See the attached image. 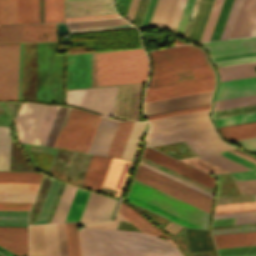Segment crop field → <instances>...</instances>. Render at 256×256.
<instances>
[{"mask_svg": "<svg viewBox=\"0 0 256 256\" xmlns=\"http://www.w3.org/2000/svg\"><path fill=\"white\" fill-rule=\"evenodd\" d=\"M256 94V77L220 82L215 100Z\"/></svg>", "mask_w": 256, "mask_h": 256, "instance_id": "18", "label": "crop field"}, {"mask_svg": "<svg viewBox=\"0 0 256 256\" xmlns=\"http://www.w3.org/2000/svg\"><path fill=\"white\" fill-rule=\"evenodd\" d=\"M212 3L213 0H201L188 39L194 42H198L200 40Z\"/></svg>", "mask_w": 256, "mask_h": 256, "instance_id": "27", "label": "crop field"}, {"mask_svg": "<svg viewBox=\"0 0 256 256\" xmlns=\"http://www.w3.org/2000/svg\"><path fill=\"white\" fill-rule=\"evenodd\" d=\"M213 91L145 103L146 116L210 104Z\"/></svg>", "mask_w": 256, "mask_h": 256, "instance_id": "10", "label": "crop field"}, {"mask_svg": "<svg viewBox=\"0 0 256 256\" xmlns=\"http://www.w3.org/2000/svg\"><path fill=\"white\" fill-rule=\"evenodd\" d=\"M119 122L102 116L88 152L106 155Z\"/></svg>", "mask_w": 256, "mask_h": 256, "instance_id": "17", "label": "crop field"}, {"mask_svg": "<svg viewBox=\"0 0 256 256\" xmlns=\"http://www.w3.org/2000/svg\"><path fill=\"white\" fill-rule=\"evenodd\" d=\"M127 200L181 226L207 229L209 214L137 180H133Z\"/></svg>", "mask_w": 256, "mask_h": 256, "instance_id": "2", "label": "crop field"}, {"mask_svg": "<svg viewBox=\"0 0 256 256\" xmlns=\"http://www.w3.org/2000/svg\"><path fill=\"white\" fill-rule=\"evenodd\" d=\"M134 178L209 213L210 198L160 174L139 166Z\"/></svg>", "mask_w": 256, "mask_h": 256, "instance_id": "5", "label": "crop field"}, {"mask_svg": "<svg viewBox=\"0 0 256 256\" xmlns=\"http://www.w3.org/2000/svg\"><path fill=\"white\" fill-rule=\"evenodd\" d=\"M138 0H131L128 12L126 17L132 20L133 14L135 12L136 6H137Z\"/></svg>", "mask_w": 256, "mask_h": 256, "instance_id": "77", "label": "crop field"}, {"mask_svg": "<svg viewBox=\"0 0 256 256\" xmlns=\"http://www.w3.org/2000/svg\"><path fill=\"white\" fill-rule=\"evenodd\" d=\"M35 194L0 193V202L31 203Z\"/></svg>", "mask_w": 256, "mask_h": 256, "instance_id": "54", "label": "crop field"}, {"mask_svg": "<svg viewBox=\"0 0 256 256\" xmlns=\"http://www.w3.org/2000/svg\"><path fill=\"white\" fill-rule=\"evenodd\" d=\"M4 126H0V170L9 171L10 146L9 153H6V145H3ZM11 138V133H10Z\"/></svg>", "mask_w": 256, "mask_h": 256, "instance_id": "55", "label": "crop field"}, {"mask_svg": "<svg viewBox=\"0 0 256 256\" xmlns=\"http://www.w3.org/2000/svg\"><path fill=\"white\" fill-rule=\"evenodd\" d=\"M211 61L215 67L243 63V62L256 61V51L249 52V53H243V54H237V55H231V56H225V57H219V58H213V59H211Z\"/></svg>", "mask_w": 256, "mask_h": 256, "instance_id": "44", "label": "crop field"}, {"mask_svg": "<svg viewBox=\"0 0 256 256\" xmlns=\"http://www.w3.org/2000/svg\"><path fill=\"white\" fill-rule=\"evenodd\" d=\"M219 154L224 156V157H227V158H229L231 160H234V161H236V162H238L240 164H243V165H245V166H247L249 168H252V167L256 166L255 164H253V163H251V162H249V161H247L245 159H242V158H240V157H238V156H236V155H234V154H232L230 152L219 153Z\"/></svg>", "mask_w": 256, "mask_h": 256, "instance_id": "71", "label": "crop field"}, {"mask_svg": "<svg viewBox=\"0 0 256 256\" xmlns=\"http://www.w3.org/2000/svg\"><path fill=\"white\" fill-rule=\"evenodd\" d=\"M216 248L255 245L256 232L213 236Z\"/></svg>", "mask_w": 256, "mask_h": 256, "instance_id": "25", "label": "crop field"}, {"mask_svg": "<svg viewBox=\"0 0 256 256\" xmlns=\"http://www.w3.org/2000/svg\"><path fill=\"white\" fill-rule=\"evenodd\" d=\"M44 40H56L55 24L0 26V43Z\"/></svg>", "mask_w": 256, "mask_h": 256, "instance_id": "9", "label": "crop field"}, {"mask_svg": "<svg viewBox=\"0 0 256 256\" xmlns=\"http://www.w3.org/2000/svg\"><path fill=\"white\" fill-rule=\"evenodd\" d=\"M209 52L210 58L254 51L256 50V36L239 39L199 43Z\"/></svg>", "mask_w": 256, "mask_h": 256, "instance_id": "14", "label": "crop field"}, {"mask_svg": "<svg viewBox=\"0 0 256 256\" xmlns=\"http://www.w3.org/2000/svg\"><path fill=\"white\" fill-rule=\"evenodd\" d=\"M31 204L0 203V210H28Z\"/></svg>", "mask_w": 256, "mask_h": 256, "instance_id": "70", "label": "crop field"}, {"mask_svg": "<svg viewBox=\"0 0 256 256\" xmlns=\"http://www.w3.org/2000/svg\"><path fill=\"white\" fill-rule=\"evenodd\" d=\"M255 103H256V95L218 100V101H215L214 110L235 107V106L255 104Z\"/></svg>", "mask_w": 256, "mask_h": 256, "instance_id": "47", "label": "crop field"}, {"mask_svg": "<svg viewBox=\"0 0 256 256\" xmlns=\"http://www.w3.org/2000/svg\"><path fill=\"white\" fill-rule=\"evenodd\" d=\"M185 2H186V0H179L176 11H175V14H174V17L172 19V22H171V25H170L169 29L174 30V31L176 30V27H177V24L179 22V19H180V16H181V13H182Z\"/></svg>", "mask_w": 256, "mask_h": 256, "instance_id": "67", "label": "crop field"}, {"mask_svg": "<svg viewBox=\"0 0 256 256\" xmlns=\"http://www.w3.org/2000/svg\"><path fill=\"white\" fill-rule=\"evenodd\" d=\"M253 66H256V62L237 64L225 67L217 68L220 81L242 78L256 75V71Z\"/></svg>", "mask_w": 256, "mask_h": 256, "instance_id": "26", "label": "crop field"}, {"mask_svg": "<svg viewBox=\"0 0 256 256\" xmlns=\"http://www.w3.org/2000/svg\"><path fill=\"white\" fill-rule=\"evenodd\" d=\"M60 183L61 182H59V181L53 180L52 185L49 189V192L47 194V197L45 199V202L42 206V209L40 211V214H39L35 224H42V223L45 222L46 217L48 215V212L50 210V207L52 205V202H53V200L55 198V195L57 193V190L59 188Z\"/></svg>", "mask_w": 256, "mask_h": 256, "instance_id": "46", "label": "crop field"}, {"mask_svg": "<svg viewBox=\"0 0 256 256\" xmlns=\"http://www.w3.org/2000/svg\"><path fill=\"white\" fill-rule=\"evenodd\" d=\"M150 54L152 76L209 65L205 53L189 45L151 51Z\"/></svg>", "mask_w": 256, "mask_h": 256, "instance_id": "3", "label": "crop field"}, {"mask_svg": "<svg viewBox=\"0 0 256 256\" xmlns=\"http://www.w3.org/2000/svg\"><path fill=\"white\" fill-rule=\"evenodd\" d=\"M189 143L192 145V147L195 149L196 152L230 146V145L226 144L225 142L221 141L219 136L193 140V141H189ZM232 147L217 149V150H211V151H205V152H199L198 155L220 152V151H226V150H232V149L235 148V147L234 148H232Z\"/></svg>", "mask_w": 256, "mask_h": 256, "instance_id": "32", "label": "crop field"}, {"mask_svg": "<svg viewBox=\"0 0 256 256\" xmlns=\"http://www.w3.org/2000/svg\"><path fill=\"white\" fill-rule=\"evenodd\" d=\"M17 23V0H0V24Z\"/></svg>", "mask_w": 256, "mask_h": 256, "instance_id": "42", "label": "crop field"}, {"mask_svg": "<svg viewBox=\"0 0 256 256\" xmlns=\"http://www.w3.org/2000/svg\"><path fill=\"white\" fill-rule=\"evenodd\" d=\"M230 152H232V153H234V154H236V155H238L242 158H245V159H247V160L256 164V158H254V157H252V156H250V155H248V154H246V153H244L240 150H234V151H230Z\"/></svg>", "mask_w": 256, "mask_h": 256, "instance_id": "78", "label": "crop field"}, {"mask_svg": "<svg viewBox=\"0 0 256 256\" xmlns=\"http://www.w3.org/2000/svg\"><path fill=\"white\" fill-rule=\"evenodd\" d=\"M146 123L135 122L121 158L132 160Z\"/></svg>", "mask_w": 256, "mask_h": 256, "instance_id": "34", "label": "crop field"}, {"mask_svg": "<svg viewBox=\"0 0 256 256\" xmlns=\"http://www.w3.org/2000/svg\"><path fill=\"white\" fill-rule=\"evenodd\" d=\"M256 222V216L236 218L235 224Z\"/></svg>", "mask_w": 256, "mask_h": 256, "instance_id": "79", "label": "crop field"}, {"mask_svg": "<svg viewBox=\"0 0 256 256\" xmlns=\"http://www.w3.org/2000/svg\"><path fill=\"white\" fill-rule=\"evenodd\" d=\"M140 164L143 165V166H145V167H147V168H149V169H151V170H153V171H155V172H158V173H160V174H162V175H164V176H166V177H168V178H170V179H172V180H174V181H177V182H179V183H181V184H183V185H185V186H187V187H189V188H191V189H194V190H196V191H198V192H200V193H202V194H204V195H206V196H208V197H210V198H211V196H212L211 193H209V192H207V191H205V190H203V189H200V188H198V187H196V186H194V185H192V184H190V183H187V182H185V181H183V180H181V179H179V178H176V177H174V176H172V175H170V174H168V173H166V172H163V171H161V170H159V169H157V168H155V167H152V166H150V165H148V164H146V163H144V162H142V161H141ZM141 165H140V166H141ZM143 166H142V167H143Z\"/></svg>", "mask_w": 256, "mask_h": 256, "instance_id": "56", "label": "crop field"}, {"mask_svg": "<svg viewBox=\"0 0 256 256\" xmlns=\"http://www.w3.org/2000/svg\"><path fill=\"white\" fill-rule=\"evenodd\" d=\"M199 3H200V0H195V3H194V6L192 8V11H191V14H190L187 26H186L184 34H183V36H185L186 38L188 37V34H189L190 28L192 26V23H193V20H194L197 8L199 6Z\"/></svg>", "mask_w": 256, "mask_h": 256, "instance_id": "72", "label": "crop field"}, {"mask_svg": "<svg viewBox=\"0 0 256 256\" xmlns=\"http://www.w3.org/2000/svg\"><path fill=\"white\" fill-rule=\"evenodd\" d=\"M233 0H224L210 40L219 39Z\"/></svg>", "mask_w": 256, "mask_h": 256, "instance_id": "49", "label": "crop field"}, {"mask_svg": "<svg viewBox=\"0 0 256 256\" xmlns=\"http://www.w3.org/2000/svg\"><path fill=\"white\" fill-rule=\"evenodd\" d=\"M116 202L117 201L114 199H111L109 197L107 198L106 203L104 205V208L102 210V213H101L98 221L107 220L110 218Z\"/></svg>", "mask_w": 256, "mask_h": 256, "instance_id": "64", "label": "crop field"}, {"mask_svg": "<svg viewBox=\"0 0 256 256\" xmlns=\"http://www.w3.org/2000/svg\"><path fill=\"white\" fill-rule=\"evenodd\" d=\"M193 3L194 0H187L176 32L183 34Z\"/></svg>", "mask_w": 256, "mask_h": 256, "instance_id": "59", "label": "crop field"}, {"mask_svg": "<svg viewBox=\"0 0 256 256\" xmlns=\"http://www.w3.org/2000/svg\"><path fill=\"white\" fill-rule=\"evenodd\" d=\"M142 84H138L133 120H138Z\"/></svg>", "mask_w": 256, "mask_h": 256, "instance_id": "74", "label": "crop field"}, {"mask_svg": "<svg viewBox=\"0 0 256 256\" xmlns=\"http://www.w3.org/2000/svg\"><path fill=\"white\" fill-rule=\"evenodd\" d=\"M57 227H58L61 255L68 256L64 223L57 224Z\"/></svg>", "mask_w": 256, "mask_h": 256, "instance_id": "65", "label": "crop field"}, {"mask_svg": "<svg viewBox=\"0 0 256 256\" xmlns=\"http://www.w3.org/2000/svg\"><path fill=\"white\" fill-rule=\"evenodd\" d=\"M19 44L0 45V99H18Z\"/></svg>", "mask_w": 256, "mask_h": 256, "instance_id": "7", "label": "crop field"}, {"mask_svg": "<svg viewBox=\"0 0 256 256\" xmlns=\"http://www.w3.org/2000/svg\"><path fill=\"white\" fill-rule=\"evenodd\" d=\"M256 215V212L214 216V219Z\"/></svg>", "mask_w": 256, "mask_h": 256, "instance_id": "76", "label": "crop field"}, {"mask_svg": "<svg viewBox=\"0 0 256 256\" xmlns=\"http://www.w3.org/2000/svg\"><path fill=\"white\" fill-rule=\"evenodd\" d=\"M241 3H242V0L233 1L230 13L228 15V18L220 39L230 37Z\"/></svg>", "mask_w": 256, "mask_h": 256, "instance_id": "51", "label": "crop field"}, {"mask_svg": "<svg viewBox=\"0 0 256 256\" xmlns=\"http://www.w3.org/2000/svg\"><path fill=\"white\" fill-rule=\"evenodd\" d=\"M200 158H202L212 164H215L229 172L243 171V170L249 169L243 165L233 162V161H231L227 158H224L218 154L200 156Z\"/></svg>", "mask_w": 256, "mask_h": 256, "instance_id": "43", "label": "crop field"}, {"mask_svg": "<svg viewBox=\"0 0 256 256\" xmlns=\"http://www.w3.org/2000/svg\"><path fill=\"white\" fill-rule=\"evenodd\" d=\"M149 0H139L132 22L141 26Z\"/></svg>", "mask_w": 256, "mask_h": 256, "instance_id": "61", "label": "crop field"}, {"mask_svg": "<svg viewBox=\"0 0 256 256\" xmlns=\"http://www.w3.org/2000/svg\"><path fill=\"white\" fill-rule=\"evenodd\" d=\"M123 15H126L130 0H116Z\"/></svg>", "mask_w": 256, "mask_h": 256, "instance_id": "75", "label": "crop field"}, {"mask_svg": "<svg viewBox=\"0 0 256 256\" xmlns=\"http://www.w3.org/2000/svg\"><path fill=\"white\" fill-rule=\"evenodd\" d=\"M235 181L256 179V168L248 172L231 173ZM243 194L256 193V180L237 182Z\"/></svg>", "mask_w": 256, "mask_h": 256, "instance_id": "41", "label": "crop field"}, {"mask_svg": "<svg viewBox=\"0 0 256 256\" xmlns=\"http://www.w3.org/2000/svg\"><path fill=\"white\" fill-rule=\"evenodd\" d=\"M76 226V223H65L69 256H81Z\"/></svg>", "mask_w": 256, "mask_h": 256, "instance_id": "45", "label": "crop field"}, {"mask_svg": "<svg viewBox=\"0 0 256 256\" xmlns=\"http://www.w3.org/2000/svg\"><path fill=\"white\" fill-rule=\"evenodd\" d=\"M39 22V0H18V23Z\"/></svg>", "mask_w": 256, "mask_h": 256, "instance_id": "30", "label": "crop field"}, {"mask_svg": "<svg viewBox=\"0 0 256 256\" xmlns=\"http://www.w3.org/2000/svg\"><path fill=\"white\" fill-rule=\"evenodd\" d=\"M76 189H77L76 187H73L68 184L66 185L65 190L63 192V195L61 197V200L59 202V205L57 207V210L55 212V215H54L51 223H57V222L64 221Z\"/></svg>", "mask_w": 256, "mask_h": 256, "instance_id": "38", "label": "crop field"}, {"mask_svg": "<svg viewBox=\"0 0 256 256\" xmlns=\"http://www.w3.org/2000/svg\"><path fill=\"white\" fill-rule=\"evenodd\" d=\"M209 108H210V105L197 107V108H192V109L181 110V111H175V112H170V113H164V114H159V115H154V116H148L147 118L149 120H151V119H157V118L168 117V116H173V115H179V114H185V113L196 112V111H201V110H207Z\"/></svg>", "mask_w": 256, "mask_h": 256, "instance_id": "62", "label": "crop field"}, {"mask_svg": "<svg viewBox=\"0 0 256 256\" xmlns=\"http://www.w3.org/2000/svg\"><path fill=\"white\" fill-rule=\"evenodd\" d=\"M46 107V105L21 104L15 119L21 142H33Z\"/></svg>", "mask_w": 256, "mask_h": 256, "instance_id": "12", "label": "crop field"}, {"mask_svg": "<svg viewBox=\"0 0 256 256\" xmlns=\"http://www.w3.org/2000/svg\"><path fill=\"white\" fill-rule=\"evenodd\" d=\"M212 76H214V73L210 66L202 67L192 70L154 76L151 79L150 87L185 82L189 80L201 79Z\"/></svg>", "mask_w": 256, "mask_h": 256, "instance_id": "19", "label": "crop field"}, {"mask_svg": "<svg viewBox=\"0 0 256 256\" xmlns=\"http://www.w3.org/2000/svg\"><path fill=\"white\" fill-rule=\"evenodd\" d=\"M28 211H0V226H27Z\"/></svg>", "mask_w": 256, "mask_h": 256, "instance_id": "40", "label": "crop field"}, {"mask_svg": "<svg viewBox=\"0 0 256 256\" xmlns=\"http://www.w3.org/2000/svg\"><path fill=\"white\" fill-rule=\"evenodd\" d=\"M250 208H256V202L230 204V205H220V206H216L215 212L229 211V210H239V209H250Z\"/></svg>", "mask_w": 256, "mask_h": 256, "instance_id": "60", "label": "crop field"}, {"mask_svg": "<svg viewBox=\"0 0 256 256\" xmlns=\"http://www.w3.org/2000/svg\"><path fill=\"white\" fill-rule=\"evenodd\" d=\"M216 135L213 127L147 139L150 147Z\"/></svg>", "mask_w": 256, "mask_h": 256, "instance_id": "22", "label": "crop field"}, {"mask_svg": "<svg viewBox=\"0 0 256 256\" xmlns=\"http://www.w3.org/2000/svg\"><path fill=\"white\" fill-rule=\"evenodd\" d=\"M0 246L16 255H28V228L0 227Z\"/></svg>", "mask_w": 256, "mask_h": 256, "instance_id": "15", "label": "crop field"}, {"mask_svg": "<svg viewBox=\"0 0 256 256\" xmlns=\"http://www.w3.org/2000/svg\"><path fill=\"white\" fill-rule=\"evenodd\" d=\"M30 256H46L42 225L29 226Z\"/></svg>", "mask_w": 256, "mask_h": 256, "instance_id": "33", "label": "crop field"}, {"mask_svg": "<svg viewBox=\"0 0 256 256\" xmlns=\"http://www.w3.org/2000/svg\"><path fill=\"white\" fill-rule=\"evenodd\" d=\"M117 220H126V219H124L121 215L117 214L115 220H113V221H106V222L88 224V225H85V226L115 228Z\"/></svg>", "mask_w": 256, "mask_h": 256, "instance_id": "73", "label": "crop field"}, {"mask_svg": "<svg viewBox=\"0 0 256 256\" xmlns=\"http://www.w3.org/2000/svg\"><path fill=\"white\" fill-rule=\"evenodd\" d=\"M66 1H71V0H66Z\"/></svg>", "mask_w": 256, "mask_h": 256, "instance_id": "80", "label": "crop field"}, {"mask_svg": "<svg viewBox=\"0 0 256 256\" xmlns=\"http://www.w3.org/2000/svg\"><path fill=\"white\" fill-rule=\"evenodd\" d=\"M252 201L250 195L217 198L216 205Z\"/></svg>", "mask_w": 256, "mask_h": 256, "instance_id": "63", "label": "crop field"}, {"mask_svg": "<svg viewBox=\"0 0 256 256\" xmlns=\"http://www.w3.org/2000/svg\"><path fill=\"white\" fill-rule=\"evenodd\" d=\"M216 127L256 121V113L213 119ZM223 138L230 140L256 136V122L218 128ZM226 140V141H227Z\"/></svg>", "mask_w": 256, "mask_h": 256, "instance_id": "11", "label": "crop field"}, {"mask_svg": "<svg viewBox=\"0 0 256 256\" xmlns=\"http://www.w3.org/2000/svg\"><path fill=\"white\" fill-rule=\"evenodd\" d=\"M124 23H127V22L125 20H123L122 18H116V19L72 22V23H67V25H68L69 29H74V28H84V27L124 24Z\"/></svg>", "mask_w": 256, "mask_h": 256, "instance_id": "50", "label": "crop field"}, {"mask_svg": "<svg viewBox=\"0 0 256 256\" xmlns=\"http://www.w3.org/2000/svg\"><path fill=\"white\" fill-rule=\"evenodd\" d=\"M237 144L241 145L242 147L256 153V137L248 138V139H241L235 140Z\"/></svg>", "mask_w": 256, "mask_h": 256, "instance_id": "68", "label": "crop field"}, {"mask_svg": "<svg viewBox=\"0 0 256 256\" xmlns=\"http://www.w3.org/2000/svg\"><path fill=\"white\" fill-rule=\"evenodd\" d=\"M178 0H171L163 26L162 27H169L170 21L172 19L176 4H177ZM169 0H158L153 18L151 20L150 26H156V27H160L162 20L164 18L167 6H168Z\"/></svg>", "mask_w": 256, "mask_h": 256, "instance_id": "31", "label": "crop field"}, {"mask_svg": "<svg viewBox=\"0 0 256 256\" xmlns=\"http://www.w3.org/2000/svg\"><path fill=\"white\" fill-rule=\"evenodd\" d=\"M256 231V226L213 230L212 235Z\"/></svg>", "mask_w": 256, "mask_h": 256, "instance_id": "66", "label": "crop field"}, {"mask_svg": "<svg viewBox=\"0 0 256 256\" xmlns=\"http://www.w3.org/2000/svg\"><path fill=\"white\" fill-rule=\"evenodd\" d=\"M111 159L93 155L82 185L99 191Z\"/></svg>", "mask_w": 256, "mask_h": 256, "instance_id": "21", "label": "crop field"}, {"mask_svg": "<svg viewBox=\"0 0 256 256\" xmlns=\"http://www.w3.org/2000/svg\"><path fill=\"white\" fill-rule=\"evenodd\" d=\"M131 161L113 158L106 174L103 186L118 190L119 196L127 170Z\"/></svg>", "mask_w": 256, "mask_h": 256, "instance_id": "23", "label": "crop field"}, {"mask_svg": "<svg viewBox=\"0 0 256 256\" xmlns=\"http://www.w3.org/2000/svg\"><path fill=\"white\" fill-rule=\"evenodd\" d=\"M118 213L137 226L142 232H150L156 236H164L166 239L170 238L124 203H121Z\"/></svg>", "mask_w": 256, "mask_h": 256, "instance_id": "24", "label": "crop field"}, {"mask_svg": "<svg viewBox=\"0 0 256 256\" xmlns=\"http://www.w3.org/2000/svg\"><path fill=\"white\" fill-rule=\"evenodd\" d=\"M115 13L112 0L66 2V17Z\"/></svg>", "mask_w": 256, "mask_h": 256, "instance_id": "16", "label": "crop field"}, {"mask_svg": "<svg viewBox=\"0 0 256 256\" xmlns=\"http://www.w3.org/2000/svg\"><path fill=\"white\" fill-rule=\"evenodd\" d=\"M134 122L121 121L107 155L120 158Z\"/></svg>", "mask_w": 256, "mask_h": 256, "instance_id": "29", "label": "crop field"}, {"mask_svg": "<svg viewBox=\"0 0 256 256\" xmlns=\"http://www.w3.org/2000/svg\"><path fill=\"white\" fill-rule=\"evenodd\" d=\"M130 28H134V27H132L130 24H124V25H114V26L74 29V30H70V32H71V34H77V33L98 32V31L130 29Z\"/></svg>", "mask_w": 256, "mask_h": 256, "instance_id": "58", "label": "crop field"}, {"mask_svg": "<svg viewBox=\"0 0 256 256\" xmlns=\"http://www.w3.org/2000/svg\"><path fill=\"white\" fill-rule=\"evenodd\" d=\"M251 1L252 0H243L241 9L239 11V14L230 38H235L240 36ZM255 18H256V0H253L240 37H245L250 35ZM252 35H256V21L250 36Z\"/></svg>", "mask_w": 256, "mask_h": 256, "instance_id": "20", "label": "crop field"}, {"mask_svg": "<svg viewBox=\"0 0 256 256\" xmlns=\"http://www.w3.org/2000/svg\"><path fill=\"white\" fill-rule=\"evenodd\" d=\"M143 49L93 53L92 87L146 82Z\"/></svg>", "mask_w": 256, "mask_h": 256, "instance_id": "1", "label": "crop field"}, {"mask_svg": "<svg viewBox=\"0 0 256 256\" xmlns=\"http://www.w3.org/2000/svg\"><path fill=\"white\" fill-rule=\"evenodd\" d=\"M106 198L91 192L79 221L83 223L97 221Z\"/></svg>", "mask_w": 256, "mask_h": 256, "instance_id": "28", "label": "crop field"}, {"mask_svg": "<svg viewBox=\"0 0 256 256\" xmlns=\"http://www.w3.org/2000/svg\"><path fill=\"white\" fill-rule=\"evenodd\" d=\"M250 112H256V104L255 105H249V106H243V107L217 110V111L213 112L212 118L222 117V116H229V115H236V114H243V113H250Z\"/></svg>", "mask_w": 256, "mask_h": 256, "instance_id": "53", "label": "crop field"}, {"mask_svg": "<svg viewBox=\"0 0 256 256\" xmlns=\"http://www.w3.org/2000/svg\"><path fill=\"white\" fill-rule=\"evenodd\" d=\"M45 22L64 21V0H44Z\"/></svg>", "mask_w": 256, "mask_h": 256, "instance_id": "39", "label": "crop field"}, {"mask_svg": "<svg viewBox=\"0 0 256 256\" xmlns=\"http://www.w3.org/2000/svg\"><path fill=\"white\" fill-rule=\"evenodd\" d=\"M222 2L223 0H214L210 15L208 17V20L200 41H207L210 39Z\"/></svg>", "mask_w": 256, "mask_h": 256, "instance_id": "48", "label": "crop field"}, {"mask_svg": "<svg viewBox=\"0 0 256 256\" xmlns=\"http://www.w3.org/2000/svg\"><path fill=\"white\" fill-rule=\"evenodd\" d=\"M217 250H218L219 256L256 253V245L244 246V247H233V248H222Z\"/></svg>", "mask_w": 256, "mask_h": 256, "instance_id": "57", "label": "crop field"}, {"mask_svg": "<svg viewBox=\"0 0 256 256\" xmlns=\"http://www.w3.org/2000/svg\"><path fill=\"white\" fill-rule=\"evenodd\" d=\"M42 176L40 173L0 172V182L39 183Z\"/></svg>", "mask_w": 256, "mask_h": 256, "instance_id": "35", "label": "crop field"}, {"mask_svg": "<svg viewBox=\"0 0 256 256\" xmlns=\"http://www.w3.org/2000/svg\"><path fill=\"white\" fill-rule=\"evenodd\" d=\"M201 111L149 121L151 131L147 138L212 126L207 114Z\"/></svg>", "mask_w": 256, "mask_h": 256, "instance_id": "8", "label": "crop field"}, {"mask_svg": "<svg viewBox=\"0 0 256 256\" xmlns=\"http://www.w3.org/2000/svg\"><path fill=\"white\" fill-rule=\"evenodd\" d=\"M89 193H90L89 191L82 190L79 188L77 189L76 194L74 196V199L72 201V204L70 206V209L68 211V214H67L64 222L79 220Z\"/></svg>", "mask_w": 256, "mask_h": 256, "instance_id": "37", "label": "crop field"}, {"mask_svg": "<svg viewBox=\"0 0 256 256\" xmlns=\"http://www.w3.org/2000/svg\"><path fill=\"white\" fill-rule=\"evenodd\" d=\"M39 184H3L0 183V192L35 193Z\"/></svg>", "mask_w": 256, "mask_h": 256, "instance_id": "52", "label": "crop field"}, {"mask_svg": "<svg viewBox=\"0 0 256 256\" xmlns=\"http://www.w3.org/2000/svg\"><path fill=\"white\" fill-rule=\"evenodd\" d=\"M47 256H61L56 224L43 225Z\"/></svg>", "mask_w": 256, "mask_h": 256, "instance_id": "36", "label": "crop field"}, {"mask_svg": "<svg viewBox=\"0 0 256 256\" xmlns=\"http://www.w3.org/2000/svg\"><path fill=\"white\" fill-rule=\"evenodd\" d=\"M117 86L67 90L65 104L113 117Z\"/></svg>", "mask_w": 256, "mask_h": 256, "instance_id": "6", "label": "crop field"}, {"mask_svg": "<svg viewBox=\"0 0 256 256\" xmlns=\"http://www.w3.org/2000/svg\"><path fill=\"white\" fill-rule=\"evenodd\" d=\"M100 117L72 108L56 147L87 152Z\"/></svg>", "mask_w": 256, "mask_h": 256, "instance_id": "4", "label": "crop field"}, {"mask_svg": "<svg viewBox=\"0 0 256 256\" xmlns=\"http://www.w3.org/2000/svg\"><path fill=\"white\" fill-rule=\"evenodd\" d=\"M143 156L213 189L215 178L203 172L187 166L149 147L145 148Z\"/></svg>", "mask_w": 256, "mask_h": 256, "instance_id": "13", "label": "crop field"}, {"mask_svg": "<svg viewBox=\"0 0 256 256\" xmlns=\"http://www.w3.org/2000/svg\"><path fill=\"white\" fill-rule=\"evenodd\" d=\"M156 3H157V0H150L149 5H148V8H147V11H146V14H145V17H144V20H143V23H142V26H141V27H148V26H149V23H150V20H151L152 15H153V12H154V9H155V6H156Z\"/></svg>", "mask_w": 256, "mask_h": 256, "instance_id": "69", "label": "crop field"}]
</instances>
